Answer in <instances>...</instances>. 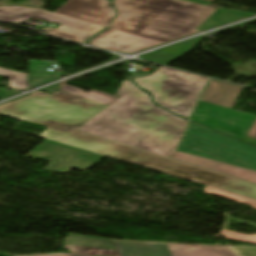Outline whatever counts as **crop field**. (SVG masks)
<instances>
[{
	"mask_svg": "<svg viewBox=\"0 0 256 256\" xmlns=\"http://www.w3.org/2000/svg\"><path fill=\"white\" fill-rule=\"evenodd\" d=\"M105 108L57 91L22 120L48 127L49 139L256 199V184L77 131Z\"/></svg>",
	"mask_w": 256,
	"mask_h": 256,
	"instance_id": "crop-field-1",
	"label": "crop field"
},
{
	"mask_svg": "<svg viewBox=\"0 0 256 256\" xmlns=\"http://www.w3.org/2000/svg\"><path fill=\"white\" fill-rule=\"evenodd\" d=\"M115 96L120 98L79 131L169 158L187 121L155 106L129 81Z\"/></svg>",
	"mask_w": 256,
	"mask_h": 256,
	"instance_id": "crop-field-2",
	"label": "crop field"
},
{
	"mask_svg": "<svg viewBox=\"0 0 256 256\" xmlns=\"http://www.w3.org/2000/svg\"><path fill=\"white\" fill-rule=\"evenodd\" d=\"M118 17L109 26L116 30L163 42L197 33L216 9L181 0H114Z\"/></svg>",
	"mask_w": 256,
	"mask_h": 256,
	"instance_id": "crop-field-3",
	"label": "crop field"
},
{
	"mask_svg": "<svg viewBox=\"0 0 256 256\" xmlns=\"http://www.w3.org/2000/svg\"><path fill=\"white\" fill-rule=\"evenodd\" d=\"M207 78L160 67L152 76L135 79L148 90L160 106L185 118L189 117Z\"/></svg>",
	"mask_w": 256,
	"mask_h": 256,
	"instance_id": "crop-field-4",
	"label": "crop field"
},
{
	"mask_svg": "<svg viewBox=\"0 0 256 256\" xmlns=\"http://www.w3.org/2000/svg\"><path fill=\"white\" fill-rule=\"evenodd\" d=\"M177 151L256 171V148L189 122Z\"/></svg>",
	"mask_w": 256,
	"mask_h": 256,
	"instance_id": "crop-field-5",
	"label": "crop field"
},
{
	"mask_svg": "<svg viewBox=\"0 0 256 256\" xmlns=\"http://www.w3.org/2000/svg\"><path fill=\"white\" fill-rule=\"evenodd\" d=\"M119 251L92 248L70 247L71 254L54 253L27 256H239L234 247L205 246L189 244H161L117 241ZM0 256H14L1 254Z\"/></svg>",
	"mask_w": 256,
	"mask_h": 256,
	"instance_id": "crop-field-6",
	"label": "crop field"
},
{
	"mask_svg": "<svg viewBox=\"0 0 256 256\" xmlns=\"http://www.w3.org/2000/svg\"><path fill=\"white\" fill-rule=\"evenodd\" d=\"M29 17L61 24L62 26L55 28L54 31L46 28H44L42 31L59 38L79 43L84 42L90 36L104 28L102 26L47 11L19 6L0 7V20L23 23L28 20Z\"/></svg>",
	"mask_w": 256,
	"mask_h": 256,
	"instance_id": "crop-field-7",
	"label": "crop field"
},
{
	"mask_svg": "<svg viewBox=\"0 0 256 256\" xmlns=\"http://www.w3.org/2000/svg\"><path fill=\"white\" fill-rule=\"evenodd\" d=\"M26 156L50 162L43 170L66 174L72 168L87 170L104 156L79 150L73 147L44 141Z\"/></svg>",
	"mask_w": 256,
	"mask_h": 256,
	"instance_id": "crop-field-8",
	"label": "crop field"
},
{
	"mask_svg": "<svg viewBox=\"0 0 256 256\" xmlns=\"http://www.w3.org/2000/svg\"><path fill=\"white\" fill-rule=\"evenodd\" d=\"M191 119L243 141L256 120V115L199 101Z\"/></svg>",
	"mask_w": 256,
	"mask_h": 256,
	"instance_id": "crop-field-9",
	"label": "crop field"
},
{
	"mask_svg": "<svg viewBox=\"0 0 256 256\" xmlns=\"http://www.w3.org/2000/svg\"><path fill=\"white\" fill-rule=\"evenodd\" d=\"M107 0H68L55 13L106 26L114 14Z\"/></svg>",
	"mask_w": 256,
	"mask_h": 256,
	"instance_id": "crop-field-10",
	"label": "crop field"
},
{
	"mask_svg": "<svg viewBox=\"0 0 256 256\" xmlns=\"http://www.w3.org/2000/svg\"><path fill=\"white\" fill-rule=\"evenodd\" d=\"M161 43L163 42L134 36L109 28L89 41V45L125 53H133Z\"/></svg>",
	"mask_w": 256,
	"mask_h": 256,
	"instance_id": "crop-field-11",
	"label": "crop field"
},
{
	"mask_svg": "<svg viewBox=\"0 0 256 256\" xmlns=\"http://www.w3.org/2000/svg\"><path fill=\"white\" fill-rule=\"evenodd\" d=\"M172 159L180 160L186 163H190L196 166H200L206 169H210L216 172H220L226 175H230L236 178H240L246 181L256 183V172L229 164L181 153L175 151Z\"/></svg>",
	"mask_w": 256,
	"mask_h": 256,
	"instance_id": "crop-field-12",
	"label": "crop field"
},
{
	"mask_svg": "<svg viewBox=\"0 0 256 256\" xmlns=\"http://www.w3.org/2000/svg\"><path fill=\"white\" fill-rule=\"evenodd\" d=\"M242 87L210 79L201 101L232 109Z\"/></svg>",
	"mask_w": 256,
	"mask_h": 256,
	"instance_id": "crop-field-13",
	"label": "crop field"
},
{
	"mask_svg": "<svg viewBox=\"0 0 256 256\" xmlns=\"http://www.w3.org/2000/svg\"><path fill=\"white\" fill-rule=\"evenodd\" d=\"M205 191L207 193L215 194V195L223 197V198H227V199L238 201V202H241V203H244V204H248V205H251L254 208H256V201H253V200H250V199H247V198H243V197H240V196H237V195H233V194H230V193H226V192H223V191H220V190H216V189H213V188H209L207 186H205ZM222 215L226 218V220L224 222L222 230L220 231V235H222L223 237H225L227 239H230V240H236V241H242V242H248V243L256 244V234L250 236V235L239 234V233H234V232L227 231L228 227L231 223V220L241 222V223H245V224H249V225H253V226H256V224H252V223H248V222H245V221L235 219V218L231 217L230 215H228L226 213H223Z\"/></svg>",
	"mask_w": 256,
	"mask_h": 256,
	"instance_id": "crop-field-14",
	"label": "crop field"
},
{
	"mask_svg": "<svg viewBox=\"0 0 256 256\" xmlns=\"http://www.w3.org/2000/svg\"><path fill=\"white\" fill-rule=\"evenodd\" d=\"M49 96L46 93L38 91L13 103L2 106L0 108V114L20 120Z\"/></svg>",
	"mask_w": 256,
	"mask_h": 256,
	"instance_id": "crop-field-15",
	"label": "crop field"
},
{
	"mask_svg": "<svg viewBox=\"0 0 256 256\" xmlns=\"http://www.w3.org/2000/svg\"><path fill=\"white\" fill-rule=\"evenodd\" d=\"M204 37L205 36H202L151 54L143 55L140 58L166 65L171 61L177 59L178 57L182 56L183 54L192 50Z\"/></svg>",
	"mask_w": 256,
	"mask_h": 256,
	"instance_id": "crop-field-16",
	"label": "crop field"
},
{
	"mask_svg": "<svg viewBox=\"0 0 256 256\" xmlns=\"http://www.w3.org/2000/svg\"><path fill=\"white\" fill-rule=\"evenodd\" d=\"M254 13L239 11L234 9H225L219 7L208 19H206L196 30H207L242 17L251 15Z\"/></svg>",
	"mask_w": 256,
	"mask_h": 256,
	"instance_id": "crop-field-17",
	"label": "crop field"
},
{
	"mask_svg": "<svg viewBox=\"0 0 256 256\" xmlns=\"http://www.w3.org/2000/svg\"><path fill=\"white\" fill-rule=\"evenodd\" d=\"M59 90L66 91L75 95H79L88 99H92L101 103H105L110 105L113 103L116 99H118L115 96L108 95V94H103V93H98V92H81L78 88H74L68 85L62 84L59 88Z\"/></svg>",
	"mask_w": 256,
	"mask_h": 256,
	"instance_id": "crop-field-18",
	"label": "crop field"
},
{
	"mask_svg": "<svg viewBox=\"0 0 256 256\" xmlns=\"http://www.w3.org/2000/svg\"><path fill=\"white\" fill-rule=\"evenodd\" d=\"M0 75L10 78L12 88L24 91L28 89V75L0 68Z\"/></svg>",
	"mask_w": 256,
	"mask_h": 256,
	"instance_id": "crop-field-19",
	"label": "crop field"
},
{
	"mask_svg": "<svg viewBox=\"0 0 256 256\" xmlns=\"http://www.w3.org/2000/svg\"><path fill=\"white\" fill-rule=\"evenodd\" d=\"M244 142L256 144V122L254 123L251 130L247 134L246 138L244 139Z\"/></svg>",
	"mask_w": 256,
	"mask_h": 256,
	"instance_id": "crop-field-20",
	"label": "crop field"
},
{
	"mask_svg": "<svg viewBox=\"0 0 256 256\" xmlns=\"http://www.w3.org/2000/svg\"><path fill=\"white\" fill-rule=\"evenodd\" d=\"M18 92H20V91H16V90H13V89H11L10 91H7V92L0 91V99H2L4 97H7V96H10L12 94L18 93Z\"/></svg>",
	"mask_w": 256,
	"mask_h": 256,
	"instance_id": "crop-field-21",
	"label": "crop field"
},
{
	"mask_svg": "<svg viewBox=\"0 0 256 256\" xmlns=\"http://www.w3.org/2000/svg\"><path fill=\"white\" fill-rule=\"evenodd\" d=\"M185 1L194 2V3L206 5V6H209L212 3V0H185Z\"/></svg>",
	"mask_w": 256,
	"mask_h": 256,
	"instance_id": "crop-field-22",
	"label": "crop field"
},
{
	"mask_svg": "<svg viewBox=\"0 0 256 256\" xmlns=\"http://www.w3.org/2000/svg\"><path fill=\"white\" fill-rule=\"evenodd\" d=\"M0 106H2V105H0Z\"/></svg>",
	"mask_w": 256,
	"mask_h": 256,
	"instance_id": "crop-field-23",
	"label": "crop field"
}]
</instances>
